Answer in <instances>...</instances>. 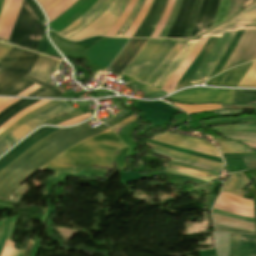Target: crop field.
I'll use <instances>...</instances> for the list:
<instances>
[{
  "label": "crop field",
  "instance_id": "crop-field-1",
  "mask_svg": "<svg viewBox=\"0 0 256 256\" xmlns=\"http://www.w3.org/2000/svg\"><path fill=\"white\" fill-rule=\"evenodd\" d=\"M106 129L108 127L104 124L91 130L84 124L73 128L59 129L33 146L0 172V200L6 201L15 189L48 161L81 140Z\"/></svg>",
  "mask_w": 256,
  "mask_h": 256
},
{
  "label": "crop field",
  "instance_id": "crop-field-2",
  "mask_svg": "<svg viewBox=\"0 0 256 256\" xmlns=\"http://www.w3.org/2000/svg\"><path fill=\"white\" fill-rule=\"evenodd\" d=\"M127 147L119 137L111 130L90 137L70 149L57 158L51 160L40 170L46 167L66 169L73 166L64 165H91L113 169L112 156L119 150Z\"/></svg>",
  "mask_w": 256,
  "mask_h": 256
},
{
  "label": "crop field",
  "instance_id": "crop-field-3",
  "mask_svg": "<svg viewBox=\"0 0 256 256\" xmlns=\"http://www.w3.org/2000/svg\"><path fill=\"white\" fill-rule=\"evenodd\" d=\"M185 42L186 40L149 39L143 50L122 74L151 85L165 70Z\"/></svg>",
  "mask_w": 256,
  "mask_h": 256
},
{
  "label": "crop field",
  "instance_id": "crop-field-4",
  "mask_svg": "<svg viewBox=\"0 0 256 256\" xmlns=\"http://www.w3.org/2000/svg\"><path fill=\"white\" fill-rule=\"evenodd\" d=\"M242 29H256V3L244 9L233 19L201 36L218 38L192 77L191 84H198L208 78L213 68L223 56L236 31Z\"/></svg>",
  "mask_w": 256,
  "mask_h": 256
},
{
  "label": "crop field",
  "instance_id": "crop-field-5",
  "mask_svg": "<svg viewBox=\"0 0 256 256\" xmlns=\"http://www.w3.org/2000/svg\"><path fill=\"white\" fill-rule=\"evenodd\" d=\"M40 54L12 47L0 60V92L26 75Z\"/></svg>",
  "mask_w": 256,
  "mask_h": 256
},
{
  "label": "crop field",
  "instance_id": "crop-field-6",
  "mask_svg": "<svg viewBox=\"0 0 256 256\" xmlns=\"http://www.w3.org/2000/svg\"><path fill=\"white\" fill-rule=\"evenodd\" d=\"M31 12L23 0L9 41L35 50L44 29Z\"/></svg>",
  "mask_w": 256,
  "mask_h": 256
},
{
  "label": "crop field",
  "instance_id": "crop-field-7",
  "mask_svg": "<svg viewBox=\"0 0 256 256\" xmlns=\"http://www.w3.org/2000/svg\"><path fill=\"white\" fill-rule=\"evenodd\" d=\"M72 110V108L65 103L64 101L53 106L52 108L30 118L27 122H25L22 126L33 130L35 127H37L39 124L47 121L48 119L63 114L65 112H68ZM20 126L19 128H17L16 130H14L13 132H11L10 134L18 137V138H22L24 137L28 132H30V130L24 128ZM7 135L6 137H4L3 139L0 140V154L5 151L7 148H9L11 145H13L15 142H17L18 138L12 136V135Z\"/></svg>",
  "mask_w": 256,
  "mask_h": 256
},
{
  "label": "crop field",
  "instance_id": "crop-field-8",
  "mask_svg": "<svg viewBox=\"0 0 256 256\" xmlns=\"http://www.w3.org/2000/svg\"><path fill=\"white\" fill-rule=\"evenodd\" d=\"M232 93L233 90L191 88L178 92L168 98L188 103L214 102L231 104Z\"/></svg>",
  "mask_w": 256,
  "mask_h": 256
},
{
  "label": "crop field",
  "instance_id": "crop-field-9",
  "mask_svg": "<svg viewBox=\"0 0 256 256\" xmlns=\"http://www.w3.org/2000/svg\"><path fill=\"white\" fill-rule=\"evenodd\" d=\"M129 0H114L111 7L104 12V14L119 18L125 9ZM102 14L96 21H94L87 28L72 37V40H80L93 35H104L106 31L114 24L117 18Z\"/></svg>",
  "mask_w": 256,
  "mask_h": 256
},
{
  "label": "crop field",
  "instance_id": "crop-field-10",
  "mask_svg": "<svg viewBox=\"0 0 256 256\" xmlns=\"http://www.w3.org/2000/svg\"><path fill=\"white\" fill-rule=\"evenodd\" d=\"M256 54V30H245L222 71L253 60Z\"/></svg>",
  "mask_w": 256,
  "mask_h": 256
},
{
  "label": "crop field",
  "instance_id": "crop-field-11",
  "mask_svg": "<svg viewBox=\"0 0 256 256\" xmlns=\"http://www.w3.org/2000/svg\"><path fill=\"white\" fill-rule=\"evenodd\" d=\"M151 140L220 157L217 150L210 143L188 136L159 133L151 138Z\"/></svg>",
  "mask_w": 256,
  "mask_h": 256
},
{
  "label": "crop field",
  "instance_id": "crop-field-12",
  "mask_svg": "<svg viewBox=\"0 0 256 256\" xmlns=\"http://www.w3.org/2000/svg\"><path fill=\"white\" fill-rule=\"evenodd\" d=\"M214 208L237 215L254 218L253 201L244 198L241 199L222 192L220 193Z\"/></svg>",
  "mask_w": 256,
  "mask_h": 256
},
{
  "label": "crop field",
  "instance_id": "crop-field-13",
  "mask_svg": "<svg viewBox=\"0 0 256 256\" xmlns=\"http://www.w3.org/2000/svg\"><path fill=\"white\" fill-rule=\"evenodd\" d=\"M58 129L54 128H41L27 137L23 142L5 154L2 158H0V171L5 168L8 164L14 161L17 157H19L22 153L28 150L30 147L38 143L41 139L49 136L53 132Z\"/></svg>",
  "mask_w": 256,
  "mask_h": 256
},
{
  "label": "crop field",
  "instance_id": "crop-field-14",
  "mask_svg": "<svg viewBox=\"0 0 256 256\" xmlns=\"http://www.w3.org/2000/svg\"><path fill=\"white\" fill-rule=\"evenodd\" d=\"M146 41L147 39H130L115 61L109 66L112 69L110 73L118 76L136 57Z\"/></svg>",
  "mask_w": 256,
  "mask_h": 256
},
{
  "label": "crop field",
  "instance_id": "crop-field-15",
  "mask_svg": "<svg viewBox=\"0 0 256 256\" xmlns=\"http://www.w3.org/2000/svg\"><path fill=\"white\" fill-rule=\"evenodd\" d=\"M168 0H153L151 7L143 22L133 37H150Z\"/></svg>",
  "mask_w": 256,
  "mask_h": 256
},
{
  "label": "crop field",
  "instance_id": "crop-field-16",
  "mask_svg": "<svg viewBox=\"0 0 256 256\" xmlns=\"http://www.w3.org/2000/svg\"><path fill=\"white\" fill-rule=\"evenodd\" d=\"M218 3L219 0H203L190 38L209 30L216 13Z\"/></svg>",
  "mask_w": 256,
  "mask_h": 256
},
{
  "label": "crop field",
  "instance_id": "crop-field-17",
  "mask_svg": "<svg viewBox=\"0 0 256 256\" xmlns=\"http://www.w3.org/2000/svg\"><path fill=\"white\" fill-rule=\"evenodd\" d=\"M188 40L185 46L181 49V51L176 55L173 61L169 64L166 70L161 74V76L154 82L152 85L155 88L161 89L165 83L171 78L174 72L182 65L185 58L191 52V50L196 45L197 41L199 40Z\"/></svg>",
  "mask_w": 256,
  "mask_h": 256
},
{
  "label": "crop field",
  "instance_id": "crop-field-18",
  "mask_svg": "<svg viewBox=\"0 0 256 256\" xmlns=\"http://www.w3.org/2000/svg\"><path fill=\"white\" fill-rule=\"evenodd\" d=\"M251 64L252 63H248L226 71L206 82V85L235 87L245 75Z\"/></svg>",
  "mask_w": 256,
  "mask_h": 256
},
{
  "label": "crop field",
  "instance_id": "crop-field-19",
  "mask_svg": "<svg viewBox=\"0 0 256 256\" xmlns=\"http://www.w3.org/2000/svg\"><path fill=\"white\" fill-rule=\"evenodd\" d=\"M194 0H182L178 13L167 37L180 38L190 17Z\"/></svg>",
  "mask_w": 256,
  "mask_h": 256
},
{
  "label": "crop field",
  "instance_id": "crop-field-20",
  "mask_svg": "<svg viewBox=\"0 0 256 256\" xmlns=\"http://www.w3.org/2000/svg\"><path fill=\"white\" fill-rule=\"evenodd\" d=\"M57 64L58 61H54L52 58L42 55L29 75L48 83L50 81L48 77L56 68Z\"/></svg>",
  "mask_w": 256,
  "mask_h": 256
},
{
  "label": "crop field",
  "instance_id": "crop-field-21",
  "mask_svg": "<svg viewBox=\"0 0 256 256\" xmlns=\"http://www.w3.org/2000/svg\"><path fill=\"white\" fill-rule=\"evenodd\" d=\"M215 40H216V38H209V40L204 45L202 50L199 52V54L197 55L195 60L192 62L190 67L187 69V71L185 72L183 77L180 79V81L176 85L175 89H178V88H181V87H184V86L188 85L191 77L193 76V74L195 73V71L197 70V68L199 67V65L201 64V62L205 58V56L207 55L208 51L210 50V48L214 44Z\"/></svg>",
  "mask_w": 256,
  "mask_h": 256
},
{
  "label": "crop field",
  "instance_id": "crop-field-22",
  "mask_svg": "<svg viewBox=\"0 0 256 256\" xmlns=\"http://www.w3.org/2000/svg\"><path fill=\"white\" fill-rule=\"evenodd\" d=\"M208 38H201L196 45V47L193 49V51L190 53V55L187 57V59L184 61L183 65L175 72V74L172 76V78L166 83V85L162 88V90H166L168 93L174 91V86L176 82L179 80V78L183 75V73L186 71L192 60L195 58V56L198 54V52L201 50L203 45L206 43Z\"/></svg>",
  "mask_w": 256,
  "mask_h": 256
},
{
  "label": "crop field",
  "instance_id": "crop-field-23",
  "mask_svg": "<svg viewBox=\"0 0 256 256\" xmlns=\"http://www.w3.org/2000/svg\"><path fill=\"white\" fill-rule=\"evenodd\" d=\"M249 183L250 182L245 178V176L241 172L234 173L229 175L221 191L243 197V189Z\"/></svg>",
  "mask_w": 256,
  "mask_h": 256
},
{
  "label": "crop field",
  "instance_id": "crop-field-24",
  "mask_svg": "<svg viewBox=\"0 0 256 256\" xmlns=\"http://www.w3.org/2000/svg\"><path fill=\"white\" fill-rule=\"evenodd\" d=\"M21 3L22 0H11L7 16L0 31V39H5L7 41L9 40L10 33Z\"/></svg>",
  "mask_w": 256,
  "mask_h": 256
},
{
  "label": "crop field",
  "instance_id": "crop-field-25",
  "mask_svg": "<svg viewBox=\"0 0 256 256\" xmlns=\"http://www.w3.org/2000/svg\"><path fill=\"white\" fill-rule=\"evenodd\" d=\"M39 100H31V99H21L14 104L8 106L7 109L3 110L0 113V126L7 121L9 118H11L13 115H15L20 110L30 106L31 104L37 102Z\"/></svg>",
  "mask_w": 256,
  "mask_h": 256
},
{
  "label": "crop field",
  "instance_id": "crop-field-26",
  "mask_svg": "<svg viewBox=\"0 0 256 256\" xmlns=\"http://www.w3.org/2000/svg\"><path fill=\"white\" fill-rule=\"evenodd\" d=\"M147 145H149L151 148L158 149L160 151L169 153V154L177 156V157H181V158H184V159L200 162V163L207 164V165L217 167V168H220V169L222 167V164H220V163L212 162V161L202 159V158L192 157V156L185 155V154H182V153H179V152H176V151H172V150H169V149L157 146V145H153V144H150V143H147Z\"/></svg>",
  "mask_w": 256,
  "mask_h": 256
},
{
  "label": "crop field",
  "instance_id": "crop-field-27",
  "mask_svg": "<svg viewBox=\"0 0 256 256\" xmlns=\"http://www.w3.org/2000/svg\"><path fill=\"white\" fill-rule=\"evenodd\" d=\"M222 216V215H221ZM213 214L214 223L255 232L254 224L245 223Z\"/></svg>",
  "mask_w": 256,
  "mask_h": 256
},
{
  "label": "crop field",
  "instance_id": "crop-field-28",
  "mask_svg": "<svg viewBox=\"0 0 256 256\" xmlns=\"http://www.w3.org/2000/svg\"><path fill=\"white\" fill-rule=\"evenodd\" d=\"M112 2H113V0H106L104 2V4L91 17H89L86 21H84L82 24H80L73 31L66 34L64 37L69 39L72 36H74L76 33H78L79 31L84 29L86 26H88L90 23H92L94 20H96L106 9H108Z\"/></svg>",
  "mask_w": 256,
  "mask_h": 256
},
{
  "label": "crop field",
  "instance_id": "crop-field-29",
  "mask_svg": "<svg viewBox=\"0 0 256 256\" xmlns=\"http://www.w3.org/2000/svg\"><path fill=\"white\" fill-rule=\"evenodd\" d=\"M216 141L220 144V146H222V148H220L222 153L249 152V149L240 143L229 141L220 137H218Z\"/></svg>",
  "mask_w": 256,
  "mask_h": 256
},
{
  "label": "crop field",
  "instance_id": "crop-field-30",
  "mask_svg": "<svg viewBox=\"0 0 256 256\" xmlns=\"http://www.w3.org/2000/svg\"><path fill=\"white\" fill-rule=\"evenodd\" d=\"M61 101H52L32 112H30L29 114L23 116L20 120H18L16 123H14L12 126H10L8 129H6L5 131H3L1 134H0V139L3 138L4 136H6L7 134H9L11 131H13L14 129H16L18 126H20L21 124H23L25 121H27L30 117L50 108L51 106L59 103Z\"/></svg>",
  "mask_w": 256,
  "mask_h": 256
},
{
  "label": "crop field",
  "instance_id": "crop-field-31",
  "mask_svg": "<svg viewBox=\"0 0 256 256\" xmlns=\"http://www.w3.org/2000/svg\"><path fill=\"white\" fill-rule=\"evenodd\" d=\"M242 33H243V31H237L235 37L233 38L232 42L230 43V45H229L227 51L225 52L223 58L221 57L222 58L221 61L218 63V65L212 71L210 77L220 73V71L223 68L224 64L226 63V61L228 60L229 56L231 55V53L233 52L234 48L236 47V45H237V43H238Z\"/></svg>",
  "mask_w": 256,
  "mask_h": 256
},
{
  "label": "crop field",
  "instance_id": "crop-field-32",
  "mask_svg": "<svg viewBox=\"0 0 256 256\" xmlns=\"http://www.w3.org/2000/svg\"><path fill=\"white\" fill-rule=\"evenodd\" d=\"M219 256H228L229 233L214 231Z\"/></svg>",
  "mask_w": 256,
  "mask_h": 256
},
{
  "label": "crop field",
  "instance_id": "crop-field-33",
  "mask_svg": "<svg viewBox=\"0 0 256 256\" xmlns=\"http://www.w3.org/2000/svg\"><path fill=\"white\" fill-rule=\"evenodd\" d=\"M33 82L27 80L26 78H22L20 81L9 87L8 89L4 90L0 93L1 96H16L22 91L26 90L30 86H32Z\"/></svg>",
  "mask_w": 256,
  "mask_h": 256
},
{
  "label": "crop field",
  "instance_id": "crop-field-34",
  "mask_svg": "<svg viewBox=\"0 0 256 256\" xmlns=\"http://www.w3.org/2000/svg\"><path fill=\"white\" fill-rule=\"evenodd\" d=\"M105 0H98L89 10H87L80 18H78L76 21H74L72 24H70L68 27L63 29L58 34L65 35L66 33L70 32L72 29H74L76 26H78L80 23H82L84 20H86L90 15H92L104 2Z\"/></svg>",
  "mask_w": 256,
  "mask_h": 256
},
{
  "label": "crop field",
  "instance_id": "crop-field-35",
  "mask_svg": "<svg viewBox=\"0 0 256 256\" xmlns=\"http://www.w3.org/2000/svg\"><path fill=\"white\" fill-rule=\"evenodd\" d=\"M137 0H130L126 9L122 13L121 17L116 21V23L110 28V30L105 34L106 36H115V34L118 32L124 21L129 16L134 4Z\"/></svg>",
  "mask_w": 256,
  "mask_h": 256
},
{
  "label": "crop field",
  "instance_id": "crop-field-36",
  "mask_svg": "<svg viewBox=\"0 0 256 256\" xmlns=\"http://www.w3.org/2000/svg\"><path fill=\"white\" fill-rule=\"evenodd\" d=\"M172 104L185 110L188 114L200 113L202 111H210V110L221 108V105H218V104H210V105H185V104H177V103H172Z\"/></svg>",
  "mask_w": 256,
  "mask_h": 256
},
{
  "label": "crop field",
  "instance_id": "crop-field-37",
  "mask_svg": "<svg viewBox=\"0 0 256 256\" xmlns=\"http://www.w3.org/2000/svg\"><path fill=\"white\" fill-rule=\"evenodd\" d=\"M253 100H256V91L234 90L232 104L246 103Z\"/></svg>",
  "mask_w": 256,
  "mask_h": 256
},
{
  "label": "crop field",
  "instance_id": "crop-field-38",
  "mask_svg": "<svg viewBox=\"0 0 256 256\" xmlns=\"http://www.w3.org/2000/svg\"><path fill=\"white\" fill-rule=\"evenodd\" d=\"M152 0H146L140 13L138 14L137 18L135 19V21L133 22L132 26L129 28V30L126 32V34L124 35V37H132V35L134 34V32L136 31V29L138 28V26L140 25V23L142 22L143 18L145 17L150 4H151Z\"/></svg>",
  "mask_w": 256,
  "mask_h": 256
},
{
  "label": "crop field",
  "instance_id": "crop-field-39",
  "mask_svg": "<svg viewBox=\"0 0 256 256\" xmlns=\"http://www.w3.org/2000/svg\"><path fill=\"white\" fill-rule=\"evenodd\" d=\"M50 101H47V100H41L33 105H31L30 107L20 111L19 113H17L14 117H12L9 121H7L5 124H3L1 127H0V133L5 130L6 128H8L10 125H12L14 122H16L18 119H20L24 114L34 110L35 108L41 106V105H44L46 103H48Z\"/></svg>",
  "mask_w": 256,
  "mask_h": 256
},
{
  "label": "crop field",
  "instance_id": "crop-field-40",
  "mask_svg": "<svg viewBox=\"0 0 256 256\" xmlns=\"http://www.w3.org/2000/svg\"><path fill=\"white\" fill-rule=\"evenodd\" d=\"M239 87H256V61L252 64L244 78L238 84Z\"/></svg>",
  "mask_w": 256,
  "mask_h": 256
},
{
  "label": "crop field",
  "instance_id": "crop-field-41",
  "mask_svg": "<svg viewBox=\"0 0 256 256\" xmlns=\"http://www.w3.org/2000/svg\"><path fill=\"white\" fill-rule=\"evenodd\" d=\"M229 2H230V0H220L219 8L217 10L212 28L215 27L216 25L224 22L226 14H227V10H228Z\"/></svg>",
  "mask_w": 256,
  "mask_h": 256
},
{
  "label": "crop field",
  "instance_id": "crop-field-42",
  "mask_svg": "<svg viewBox=\"0 0 256 256\" xmlns=\"http://www.w3.org/2000/svg\"><path fill=\"white\" fill-rule=\"evenodd\" d=\"M201 2H202V0H196L193 11H192V14H191V17H190V20H189V23H188V25H187V27H186L183 35H182V38H189L190 37L192 28L194 26V23H195V20H196V17H197V14H198V11H199V8H200V5H201Z\"/></svg>",
  "mask_w": 256,
  "mask_h": 256
},
{
  "label": "crop field",
  "instance_id": "crop-field-43",
  "mask_svg": "<svg viewBox=\"0 0 256 256\" xmlns=\"http://www.w3.org/2000/svg\"><path fill=\"white\" fill-rule=\"evenodd\" d=\"M173 4H174V0H169L168 3H167V6H166V9L158 23V25L156 26L154 32L152 33L151 37H158L161 29L163 28L171 10H172V7H173Z\"/></svg>",
  "mask_w": 256,
  "mask_h": 256
},
{
  "label": "crop field",
  "instance_id": "crop-field-44",
  "mask_svg": "<svg viewBox=\"0 0 256 256\" xmlns=\"http://www.w3.org/2000/svg\"><path fill=\"white\" fill-rule=\"evenodd\" d=\"M143 3H144V0H138V1H137V3H136V5H135L134 9L132 10L130 16L128 17V19L126 20V22L123 24V26H122L121 29L119 30V32H120L121 30H124L123 33H122L121 35H118V34H119V32H118V34H117L116 36H123V34L126 32V30L130 27V25H131L133 19H134V18L136 17V15L139 13V11H140V9H141Z\"/></svg>",
  "mask_w": 256,
  "mask_h": 256
},
{
  "label": "crop field",
  "instance_id": "crop-field-45",
  "mask_svg": "<svg viewBox=\"0 0 256 256\" xmlns=\"http://www.w3.org/2000/svg\"><path fill=\"white\" fill-rule=\"evenodd\" d=\"M180 2H181V0H176V1H175V4H174L173 10H172V13H171V15H170V17H169V19H168L166 25H165V27H164V29H163V31H162L160 37H162V38H165V37H166V35H167L169 29H170L171 26H172V23H173V21H174L175 15H176L177 10H178V8H179Z\"/></svg>",
  "mask_w": 256,
  "mask_h": 256
},
{
  "label": "crop field",
  "instance_id": "crop-field-46",
  "mask_svg": "<svg viewBox=\"0 0 256 256\" xmlns=\"http://www.w3.org/2000/svg\"><path fill=\"white\" fill-rule=\"evenodd\" d=\"M242 3L243 0H231L226 20L234 15L237 11L241 10Z\"/></svg>",
  "mask_w": 256,
  "mask_h": 256
},
{
  "label": "crop field",
  "instance_id": "crop-field-47",
  "mask_svg": "<svg viewBox=\"0 0 256 256\" xmlns=\"http://www.w3.org/2000/svg\"><path fill=\"white\" fill-rule=\"evenodd\" d=\"M25 1L30 6V8L32 9L33 13L37 17V19L40 21V23H42L45 17L42 14L41 10L38 8V6L35 4V2L33 0H25Z\"/></svg>",
  "mask_w": 256,
  "mask_h": 256
},
{
  "label": "crop field",
  "instance_id": "crop-field-48",
  "mask_svg": "<svg viewBox=\"0 0 256 256\" xmlns=\"http://www.w3.org/2000/svg\"><path fill=\"white\" fill-rule=\"evenodd\" d=\"M15 244L12 241H6L0 256H11Z\"/></svg>",
  "mask_w": 256,
  "mask_h": 256
},
{
  "label": "crop field",
  "instance_id": "crop-field-49",
  "mask_svg": "<svg viewBox=\"0 0 256 256\" xmlns=\"http://www.w3.org/2000/svg\"><path fill=\"white\" fill-rule=\"evenodd\" d=\"M79 115H81V113H80L79 111H77V112H74V113H72V114H70V115H67V116L63 117V118H59V119H56V120H54V121L48 122V123H46V124L57 125V124H59V123H62V122H64V121H67V120H69V119H71V118H74V117H76V116H79Z\"/></svg>",
  "mask_w": 256,
  "mask_h": 256
},
{
  "label": "crop field",
  "instance_id": "crop-field-50",
  "mask_svg": "<svg viewBox=\"0 0 256 256\" xmlns=\"http://www.w3.org/2000/svg\"><path fill=\"white\" fill-rule=\"evenodd\" d=\"M166 167L168 168H173V169H178V170H182V171H186V172H190V173H194V174H199V175H203L212 179H215L217 176H213V175H209V174H205V173H201V172H197V171H193V170H189V169H185V168H181V167H177V166H173V165H169V164H165Z\"/></svg>",
  "mask_w": 256,
  "mask_h": 256
},
{
  "label": "crop field",
  "instance_id": "crop-field-51",
  "mask_svg": "<svg viewBox=\"0 0 256 256\" xmlns=\"http://www.w3.org/2000/svg\"><path fill=\"white\" fill-rule=\"evenodd\" d=\"M49 44H50V43H49V41L47 40V38H46V36H45V31H44L43 36H42V38H41V41H40V43H39V46H38V48H37V51L45 53V51H46V49L48 48Z\"/></svg>",
  "mask_w": 256,
  "mask_h": 256
},
{
  "label": "crop field",
  "instance_id": "crop-field-52",
  "mask_svg": "<svg viewBox=\"0 0 256 256\" xmlns=\"http://www.w3.org/2000/svg\"><path fill=\"white\" fill-rule=\"evenodd\" d=\"M165 171L173 172V173H178V174H183V175H187V176H190V177H193V178H198V179L205 180V181H207V182H209L210 180H212V179H209V178H206V177H203V176L194 175V174H189V173H185V172H181V171H177V170H173V169H168V168H166Z\"/></svg>",
  "mask_w": 256,
  "mask_h": 256
},
{
  "label": "crop field",
  "instance_id": "crop-field-53",
  "mask_svg": "<svg viewBox=\"0 0 256 256\" xmlns=\"http://www.w3.org/2000/svg\"><path fill=\"white\" fill-rule=\"evenodd\" d=\"M63 93H61L58 90H49L46 91L45 93H43L42 95H40L39 97H52V98H58L60 95H62Z\"/></svg>",
  "mask_w": 256,
  "mask_h": 256
},
{
  "label": "crop field",
  "instance_id": "crop-field-54",
  "mask_svg": "<svg viewBox=\"0 0 256 256\" xmlns=\"http://www.w3.org/2000/svg\"><path fill=\"white\" fill-rule=\"evenodd\" d=\"M9 3H10V0H5V2H4L2 13L0 16V29H1L2 23L4 21V18L6 16V13H7L8 7H9Z\"/></svg>",
  "mask_w": 256,
  "mask_h": 256
},
{
  "label": "crop field",
  "instance_id": "crop-field-55",
  "mask_svg": "<svg viewBox=\"0 0 256 256\" xmlns=\"http://www.w3.org/2000/svg\"><path fill=\"white\" fill-rule=\"evenodd\" d=\"M136 118L135 115L131 116L130 118L126 119L125 121L119 123L118 125L112 127L115 131L118 130L120 127L124 126L125 124H127L128 122L134 120Z\"/></svg>",
  "mask_w": 256,
  "mask_h": 256
},
{
  "label": "crop field",
  "instance_id": "crop-field-56",
  "mask_svg": "<svg viewBox=\"0 0 256 256\" xmlns=\"http://www.w3.org/2000/svg\"><path fill=\"white\" fill-rule=\"evenodd\" d=\"M11 48L10 45L0 43V58Z\"/></svg>",
  "mask_w": 256,
  "mask_h": 256
},
{
  "label": "crop field",
  "instance_id": "crop-field-57",
  "mask_svg": "<svg viewBox=\"0 0 256 256\" xmlns=\"http://www.w3.org/2000/svg\"><path fill=\"white\" fill-rule=\"evenodd\" d=\"M24 77L28 78L29 80H31V81H33V82H35V83H37V84H39V85H41V86L47 88V89L52 88L51 86H49V85H47V84H45V83H43V82H41V81H39V80H37V79H35V78L29 77V76H27V75L24 76ZM47 89H46V90H47Z\"/></svg>",
  "mask_w": 256,
  "mask_h": 256
},
{
  "label": "crop field",
  "instance_id": "crop-field-58",
  "mask_svg": "<svg viewBox=\"0 0 256 256\" xmlns=\"http://www.w3.org/2000/svg\"><path fill=\"white\" fill-rule=\"evenodd\" d=\"M222 108H234V109H239V108H243V109H256V107H252V106H222Z\"/></svg>",
  "mask_w": 256,
  "mask_h": 256
},
{
  "label": "crop field",
  "instance_id": "crop-field-59",
  "mask_svg": "<svg viewBox=\"0 0 256 256\" xmlns=\"http://www.w3.org/2000/svg\"><path fill=\"white\" fill-rule=\"evenodd\" d=\"M44 91H46V90L41 87V88L37 89L36 91L30 93V94L27 95V96L35 97V96L41 94V93L44 92Z\"/></svg>",
  "mask_w": 256,
  "mask_h": 256
},
{
  "label": "crop field",
  "instance_id": "crop-field-60",
  "mask_svg": "<svg viewBox=\"0 0 256 256\" xmlns=\"http://www.w3.org/2000/svg\"><path fill=\"white\" fill-rule=\"evenodd\" d=\"M32 244H33V241H32V240H29L28 245H27V247H26V249H25V252H24V256H27V255H28V253H29V251H30V249H31V247H32Z\"/></svg>",
  "mask_w": 256,
  "mask_h": 256
},
{
  "label": "crop field",
  "instance_id": "crop-field-61",
  "mask_svg": "<svg viewBox=\"0 0 256 256\" xmlns=\"http://www.w3.org/2000/svg\"><path fill=\"white\" fill-rule=\"evenodd\" d=\"M255 1L254 0H244L243 7L245 8V7H247L248 5L252 4Z\"/></svg>",
  "mask_w": 256,
  "mask_h": 256
},
{
  "label": "crop field",
  "instance_id": "crop-field-62",
  "mask_svg": "<svg viewBox=\"0 0 256 256\" xmlns=\"http://www.w3.org/2000/svg\"><path fill=\"white\" fill-rule=\"evenodd\" d=\"M246 144L247 146L253 148V149H256V143H244Z\"/></svg>",
  "mask_w": 256,
  "mask_h": 256
},
{
  "label": "crop field",
  "instance_id": "crop-field-63",
  "mask_svg": "<svg viewBox=\"0 0 256 256\" xmlns=\"http://www.w3.org/2000/svg\"><path fill=\"white\" fill-rule=\"evenodd\" d=\"M52 1L54 0H46L43 4H41V6L44 8L46 5H48Z\"/></svg>",
  "mask_w": 256,
  "mask_h": 256
},
{
  "label": "crop field",
  "instance_id": "crop-field-64",
  "mask_svg": "<svg viewBox=\"0 0 256 256\" xmlns=\"http://www.w3.org/2000/svg\"><path fill=\"white\" fill-rule=\"evenodd\" d=\"M8 99L6 98H0V105H2L4 102H6Z\"/></svg>",
  "mask_w": 256,
  "mask_h": 256
},
{
  "label": "crop field",
  "instance_id": "crop-field-65",
  "mask_svg": "<svg viewBox=\"0 0 256 256\" xmlns=\"http://www.w3.org/2000/svg\"><path fill=\"white\" fill-rule=\"evenodd\" d=\"M3 221H4V220H2V221L0 222V237H1V232H2V228H3Z\"/></svg>",
  "mask_w": 256,
  "mask_h": 256
},
{
  "label": "crop field",
  "instance_id": "crop-field-66",
  "mask_svg": "<svg viewBox=\"0 0 256 256\" xmlns=\"http://www.w3.org/2000/svg\"><path fill=\"white\" fill-rule=\"evenodd\" d=\"M18 251H19V250L15 249L14 252H13V254H12V256H17Z\"/></svg>",
  "mask_w": 256,
  "mask_h": 256
},
{
  "label": "crop field",
  "instance_id": "crop-field-67",
  "mask_svg": "<svg viewBox=\"0 0 256 256\" xmlns=\"http://www.w3.org/2000/svg\"><path fill=\"white\" fill-rule=\"evenodd\" d=\"M23 252H24L23 250H20L18 256H22Z\"/></svg>",
  "mask_w": 256,
  "mask_h": 256
},
{
  "label": "crop field",
  "instance_id": "crop-field-68",
  "mask_svg": "<svg viewBox=\"0 0 256 256\" xmlns=\"http://www.w3.org/2000/svg\"><path fill=\"white\" fill-rule=\"evenodd\" d=\"M2 4H3V0H0V12H1V8H2Z\"/></svg>",
  "mask_w": 256,
  "mask_h": 256
},
{
  "label": "crop field",
  "instance_id": "crop-field-69",
  "mask_svg": "<svg viewBox=\"0 0 256 256\" xmlns=\"http://www.w3.org/2000/svg\"><path fill=\"white\" fill-rule=\"evenodd\" d=\"M255 59H256V57H255ZM255 59H254V60H255Z\"/></svg>",
  "mask_w": 256,
  "mask_h": 256
}]
</instances>
